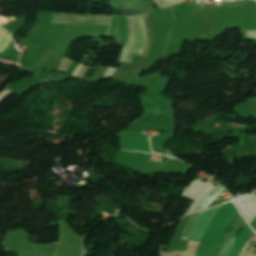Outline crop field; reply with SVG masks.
Here are the masks:
<instances>
[{"label": "crop field", "mask_w": 256, "mask_h": 256, "mask_svg": "<svg viewBox=\"0 0 256 256\" xmlns=\"http://www.w3.org/2000/svg\"><path fill=\"white\" fill-rule=\"evenodd\" d=\"M130 38L127 47H124L118 61L130 62L138 41V25L136 16L128 17Z\"/></svg>", "instance_id": "412701ff"}, {"label": "crop field", "mask_w": 256, "mask_h": 256, "mask_svg": "<svg viewBox=\"0 0 256 256\" xmlns=\"http://www.w3.org/2000/svg\"><path fill=\"white\" fill-rule=\"evenodd\" d=\"M224 186L220 183L206 196V198L197 206L194 211L203 209L223 188Z\"/></svg>", "instance_id": "e52e79f7"}, {"label": "crop field", "mask_w": 256, "mask_h": 256, "mask_svg": "<svg viewBox=\"0 0 256 256\" xmlns=\"http://www.w3.org/2000/svg\"><path fill=\"white\" fill-rule=\"evenodd\" d=\"M240 217H241V215H240V213L238 212V213L235 215V217L231 220L229 226H228V227L226 228V230L224 231V233H223V235H222V237H221V239H220V241H219V243H218L216 249L221 248V246H222V244H223V242H224V240H225V238H226V236H227L229 230L232 228V226L235 224V222H236Z\"/></svg>", "instance_id": "d8731c3e"}, {"label": "crop field", "mask_w": 256, "mask_h": 256, "mask_svg": "<svg viewBox=\"0 0 256 256\" xmlns=\"http://www.w3.org/2000/svg\"><path fill=\"white\" fill-rule=\"evenodd\" d=\"M144 18H145V24H146V30H147V38H146V43H145V47H144L142 55L147 56L148 49H149V46H150L151 40H152V29H151V21H150L149 14L145 13Z\"/></svg>", "instance_id": "dd49c442"}, {"label": "crop field", "mask_w": 256, "mask_h": 256, "mask_svg": "<svg viewBox=\"0 0 256 256\" xmlns=\"http://www.w3.org/2000/svg\"><path fill=\"white\" fill-rule=\"evenodd\" d=\"M246 224L245 220L243 219V217H241L236 224L233 226V228L230 230L223 246H222V250L220 251L218 256H228L231 248L233 247L237 235L240 231V229H242V227Z\"/></svg>", "instance_id": "f4fd0767"}, {"label": "crop field", "mask_w": 256, "mask_h": 256, "mask_svg": "<svg viewBox=\"0 0 256 256\" xmlns=\"http://www.w3.org/2000/svg\"><path fill=\"white\" fill-rule=\"evenodd\" d=\"M222 206L216 207L211 210L204 211V212H202V214L197 213V214L191 215L190 219L188 220V222L183 230L181 239L187 240L190 232L192 231L194 225L196 224V222L201 214L197 224L195 225L192 233L190 234V236L188 238V240L200 242L202 240L209 224L211 223L213 217L220 210V208Z\"/></svg>", "instance_id": "8a807250"}, {"label": "crop field", "mask_w": 256, "mask_h": 256, "mask_svg": "<svg viewBox=\"0 0 256 256\" xmlns=\"http://www.w3.org/2000/svg\"><path fill=\"white\" fill-rule=\"evenodd\" d=\"M109 6L121 10V15H137L156 8L153 0H112Z\"/></svg>", "instance_id": "ac0d7876"}, {"label": "crop field", "mask_w": 256, "mask_h": 256, "mask_svg": "<svg viewBox=\"0 0 256 256\" xmlns=\"http://www.w3.org/2000/svg\"><path fill=\"white\" fill-rule=\"evenodd\" d=\"M111 16L55 13L54 23L109 24Z\"/></svg>", "instance_id": "34b2d1b8"}, {"label": "crop field", "mask_w": 256, "mask_h": 256, "mask_svg": "<svg viewBox=\"0 0 256 256\" xmlns=\"http://www.w3.org/2000/svg\"><path fill=\"white\" fill-rule=\"evenodd\" d=\"M162 1H165V2H168V3H171V4L176 3L174 0H162ZM176 1L179 2V1H182V0H176Z\"/></svg>", "instance_id": "5a996713"}]
</instances>
